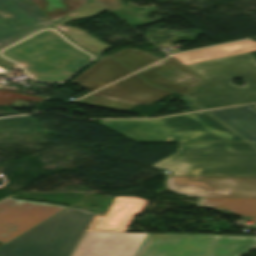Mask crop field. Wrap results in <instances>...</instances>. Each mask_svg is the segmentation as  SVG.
<instances>
[{"instance_id":"8a807250","label":"crop field","mask_w":256,"mask_h":256,"mask_svg":"<svg viewBox=\"0 0 256 256\" xmlns=\"http://www.w3.org/2000/svg\"><path fill=\"white\" fill-rule=\"evenodd\" d=\"M249 52L187 65L205 80L184 96L205 109L256 101V63ZM242 78L246 86L231 83Z\"/></svg>"},{"instance_id":"ac0d7876","label":"crop field","mask_w":256,"mask_h":256,"mask_svg":"<svg viewBox=\"0 0 256 256\" xmlns=\"http://www.w3.org/2000/svg\"><path fill=\"white\" fill-rule=\"evenodd\" d=\"M100 124L136 142L247 141L206 111L153 120H103Z\"/></svg>"},{"instance_id":"34b2d1b8","label":"crop field","mask_w":256,"mask_h":256,"mask_svg":"<svg viewBox=\"0 0 256 256\" xmlns=\"http://www.w3.org/2000/svg\"><path fill=\"white\" fill-rule=\"evenodd\" d=\"M152 167L173 175L256 176V147L249 142L179 143L177 154Z\"/></svg>"},{"instance_id":"412701ff","label":"crop field","mask_w":256,"mask_h":256,"mask_svg":"<svg viewBox=\"0 0 256 256\" xmlns=\"http://www.w3.org/2000/svg\"><path fill=\"white\" fill-rule=\"evenodd\" d=\"M93 216L67 208L0 248V256H69Z\"/></svg>"},{"instance_id":"f4fd0767","label":"crop field","mask_w":256,"mask_h":256,"mask_svg":"<svg viewBox=\"0 0 256 256\" xmlns=\"http://www.w3.org/2000/svg\"><path fill=\"white\" fill-rule=\"evenodd\" d=\"M256 237L147 234L135 256H241Z\"/></svg>"},{"instance_id":"dd49c442","label":"crop field","mask_w":256,"mask_h":256,"mask_svg":"<svg viewBox=\"0 0 256 256\" xmlns=\"http://www.w3.org/2000/svg\"><path fill=\"white\" fill-rule=\"evenodd\" d=\"M170 93L134 74L74 103L125 111L140 103L149 104Z\"/></svg>"},{"instance_id":"e52e79f7","label":"crop field","mask_w":256,"mask_h":256,"mask_svg":"<svg viewBox=\"0 0 256 256\" xmlns=\"http://www.w3.org/2000/svg\"><path fill=\"white\" fill-rule=\"evenodd\" d=\"M167 185L189 197L256 198V178L168 177Z\"/></svg>"},{"instance_id":"d8731c3e","label":"crop field","mask_w":256,"mask_h":256,"mask_svg":"<svg viewBox=\"0 0 256 256\" xmlns=\"http://www.w3.org/2000/svg\"><path fill=\"white\" fill-rule=\"evenodd\" d=\"M65 208L11 197L0 201V241L5 244L10 242Z\"/></svg>"},{"instance_id":"5a996713","label":"crop field","mask_w":256,"mask_h":256,"mask_svg":"<svg viewBox=\"0 0 256 256\" xmlns=\"http://www.w3.org/2000/svg\"><path fill=\"white\" fill-rule=\"evenodd\" d=\"M50 23L29 0H0V48Z\"/></svg>"},{"instance_id":"3316defc","label":"crop field","mask_w":256,"mask_h":256,"mask_svg":"<svg viewBox=\"0 0 256 256\" xmlns=\"http://www.w3.org/2000/svg\"><path fill=\"white\" fill-rule=\"evenodd\" d=\"M146 234L86 232L72 256H134Z\"/></svg>"},{"instance_id":"28ad6ade","label":"crop field","mask_w":256,"mask_h":256,"mask_svg":"<svg viewBox=\"0 0 256 256\" xmlns=\"http://www.w3.org/2000/svg\"><path fill=\"white\" fill-rule=\"evenodd\" d=\"M138 74L154 85L182 95L204 80L173 56L138 72Z\"/></svg>"},{"instance_id":"d1516ede","label":"crop field","mask_w":256,"mask_h":256,"mask_svg":"<svg viewBox=\"0 0 256 256\" xmlns=\"http://www.w3.org/2000/svg\"><path fill=\"white\" fill-rule=\"evenodd\" d=\"M148 201L115 197L104 216H96L88 231L125 232L135 214L141 213Z\"/></svg>"},{"instance_id":"22f410ed","label":"crop field","mask_w":256,"mask_h":256,"mask_svg":"<svg viewBox=\"0 0 256 256\" xmlns=\"http://www.w3.org/2000/svg\"><path fill=\"white\" fill-rule=\"evenodd\" d=\"M130 73L129 69L109 56L100 59L70 82L93 92Z\"/></svg>"},{"instance_id":"cbeb9de0","label":"crop field","mask_w":256,"mask_h":256,"mask_svg":"<svg viewBox=\"0 0 256 256\" xmlns=\"http://www.w3.org/2000/svg\"><path fill=\"white\" fill-rule=\"evenodd\" d=\"M209 112L249 141H256V110L249 105L210 110Z\"/></svg>"},{"instance_id":"5142ce71","label":"crop field","mask_w":256,"mask_h":256,"mask_svg":"<svg viewBox=\"0 0 256 256\" xmlns=\"http://www.w3.org/2000/svg\"><path fill=\"white\" fill-rule=\"evenodd\" d=\"M251 50H256V42L251 40H246V41L231 43L227 45L178 54L174 56L180 61H182L184 64H189V63L237 54V53L251 51Z\"/></svg>"},{"instance_id":"d9b57169","label":"crop field","mask_w":256,"mask_h":256,"mask_svg":"<svg viewBox=\"0 0 256 256\" xmlns=\"http://www.w3.org/2000/svg\"><path fill=\"white\" fill-rule=\"evenodd\" d=\"M197 206L228 209L239 216H256V199L200 198Z\"/></svg>"},{"instance_id":"733c2abd","label":"crop field","mask_w":256,"mask_h":256,"mask_svg":"<svg viewBox=\"0 0 256 256\" xmlns=\"http://www.w3.org/2000/svg\"><path fill=\"white\" fill-rule=\"evenodd\" d=\"M53 22L77 9L88 0H30Z\"/></svg>"},{"instance_id":"4a817a6b","label":"crop field","mask_w":256,"mask_h":256,"mask_svg":"<svg viewBox=\"0 0 256 256\" xmlns=\"http://www.w3.org/2000/svg\"><path fill=\"white\" fill-rule=\"evenodd\" d=\"M112 56L134 72L160 60L141 50L135 49H124Z\"/></svg>"},{"instance_id":"bc2a9ffb","label":"crop field","mask_w":256,"mask_h":256,"mask_svg":"<svg viewBox=\"0 0 256 256\" xmlns=\"http://www.w3.org/2000/svg\"><path fill=\"white\" fill-rule=\"evenodd\" d=\"M44 98L0 89V106H11L16 100L39 104Z\"/></svg>"},{"instance_id":"214f88e0","label":"crop field","mask_w":256,"mask_h":256,"mask_svg":"<svg viewBox=\"0 0 256 256\" xmlns=\"http://www.w3.org/2000/svg\"><path fill=\"white\" fill-rule=\"evenodd\" d=\"M97 1L109 10L121 9L122 7L120 0H115L114 2H111L109 0H97ZM116 1H118V3H115Z\"/></svg>"},{"instance_id":"92a150f3","label":"crop field","mask_w":256,"mask_h":256,"mask_svg":"<svg viewBox=\"0 0 256 256\" xmlns=\"http://www.w3.org/2000/svg\"><path fill=\"white\" fill-rule=\"evenodd\" d=\"M179 100L183 102L192 111L203 110L197 104H195L187 98H180Z\"/></svg>"},{"instance_id":"dafd665d","label":"crop field","mask_w":256,"mask_h":256,"mask_svg":"<svg viewBox=\"0 0 256 256\" xmlns=\"http://www.w3.org/2000/svg\"><path fill=\"white\" fill-rule=\"evenodd\" d=\"M253 222L256 223V217H249Z\"/></svg>"},{"instance_id":"00972430","label":"crop field","mask_w":256,"mask_h":256,"mask_svg":"<svg viewBox=\"0 0 256 256\" xmlns=\"http://www.w3.org/2000/svg\"><path fill=\"white\" fill-rule=\"evenodd\" d=\"M252 143L256 145V142H252Z\"/></svg>"},{"instance_id":"a9b5d70f","label":"crop field","mask_w":256,"mask_h":256,"mask_svg":"<svg viewBox=\"0 0 256 256\" xmlns=\"http://www.w3.org/2000/svg\"><path fill=\"white\" fill-rule=\"evenodd\" d=\"M3 244L0 243V246H2Z\"/></svg>"}]
</instances>
